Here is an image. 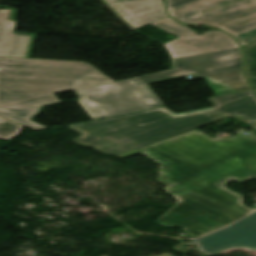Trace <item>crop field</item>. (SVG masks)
Segmentation results:
<instances>
[{"label": "crop field", "mask_w": 256, "mask_h": 256, "mask_svg": "<svg viewBox=\"0 0 256 256\" xmlns=\"http://www.w3.org/2000/svg\"><path fill=\"white\" fill-rule=\"evenodd\" d=\"M142 153L161 164L159 181L177 203L156 224L184 228L200 237L255 211L243 198L211 184L246 168L256 173V138L242 133L213 139L195 129L185 134L117 156Z\"/></svg>", "instance_id": "8a807250"}, {"label": "crop field", "mask_w": 256, "mask_h": 256, "mask_svg": "<svg viewBox=\"0 0 256 256\" xmlns=\"http://www.w3.org/2000/svg\"><path fill=\"white\" fill-rule=\"evenodd\" d=\"M151 24L179 37L165 44L175 69L75 90L79 104L92 120L161 107L148 85L187 75L205 78L216 96L250 89L243 74V52L227 33L198 35L170 17Z\"/></svg>", "instance_id": "ac0d7876"}, {"label": "crop field", "mask_w": 256, "mask_h": 256, "mask_svg": "<svg viewBox=\"0 0 256 256\" xmlns=\"http://www.w3.org/2000/svg\"><path fill=\"white\" fill-rule=\"evenodd\" d=\"M213 108L176 115L162 107L69 126L72 141L117 156L231 116L256 119V94L244 91L210 98Z\"/></svg>", "instance_id": "34b2d1b8"}, {"label": "crop field", "mask_w": 256, "mask_h": 256, "mask_svg": "<svg viewBox=\"0 0 256 256\" xmlns=\"http://www.w3.org/2000/svg\"><path fill=\"white\" fill-rule=\"evenodd\" d=\"M113 82L86 62L0 57V116L33 130L41 107L59 104L58 91Z\"/></svg>", "instance_id": "412701ff"}, {"label": "crop field", "mask_w": 256, "mask_h": 256, "mask_svg": "<svg viewBox=\"0 0 256 256\" xmlns=\"http://www.w3.org/2000/svg\"><path fill=\"white\" fill-rule=\"evenodd\" d=\"M176 20L206 29H220L242 46L256 40V0H167Z\"/></svg>", "instance_id": "f4fd0767"}, {"label": "crop field", "mask_w": 256, "mask_h": 256, "mask_svg": "<svg viewBox=\"0 0 256 256\" xmlns=\"http://www.w3.org/2000/svg\"><path fill=\"white\" fill-rule=\"evenodd\" d=\"M192 244L210 256L240 248L256 250V212Z\"/></svg>", "instance_id": "dd49c442"}, {"label": "crop field", "mask_w": 256, "mask_h": 256, "mask_svg": "<svg viewBox=\"0 0 256 256\" xmlns=\"http://www.w3.org/2000/svg\"><path fill=\"white\" fill-rule=\"evenodd\" d=\"M103 1L132 28L167 16L163 0Z\"/></svg>", "instance_id": "e52e79f7"}, {"label": "crop field", "mask_w": 256, "mask_h": 256, "mask_svg": "<svg viewBox=\"0 0 256 256\" xmlns=\"http://www.w3.org/2000/svg\"><path fill=\"white\" fill-rule=\"evenodd\" d=\"M17 10H0V56L29 58L35 35L14 33Z\"/></svg>", "instance_id": "d8731c3e"}, {"label": "crop field", "mask_w": 256, "mask_h": 256, "mask_svg": "<svg viewBox=\"0 0 256 256\" xmlns=\"http://www.w3.org/2000/svg\"><path fill=\"white\" fill-rule=\"evenodd\" d=\"M244 50L246 52V74L251 85L256 88V42L244 47Z\"/></svg>", "instance_id": "5a996713"}, {"label": "crop field", "mask_w": 256, "mask_h": 256, "mask_svg": "<svg viewBox=\"0 0 256 256\" xmlns=\"http://www.w3.org/2000/svg\"><path fill=\"white\" fill-rule=\"evenodd\" d=\"M23 126L0 117V139L10 140L22 132Z\"/></svg>", "instance_id": "3316defc"}, {"label": "crop field", "mask_w": 256, "mask_h": 256, "mask_svg": "<svg viewBox=\"0 0 256 256\" xmlns=\"http://www.w3.org/2000/svg\"><path fill=\"white\" fill-rule=\"evenodd\" d=\"M252 177H256V174L252 173V172H250V171H248L246 169H243V170H241V171H239V172H237V173H235V174H233V175H231V176H229V177H227V178H225V179H223V180L213 184V186H215V187H217V188H219L221 190H224L226 192H229V193H232L234 195H237V196L241 197V195H238V194H236V193H234L232 191L226 190L223 187V183L226 182V181H230V180H235V181L242 182V181H244V180H246L248 178H252Z\"/></svg>", "instance_id": "28ad6ade"}, {"label": "crop field", "mask_w": 256, "mask_h": 256, "mask_svg": "<svg viewBox=\"0 0 256 256\" xmlns=\"http://www.w3.org/2000/svg\"><path fill=\"white\" fill-rule=\"evenodd\" d=\"M186 246L187 245H185L184 243H180L172 249L177 250L178 252H181V253H188L191 249L187 248Z\"/></svg>", "instance_id": "d1516ede"}, {"label": "crop field", "mask_w": 256, "mask_h": 256, "mask_svg": "<svg viewBox=\"0 0 256 256\" xmlns=\"http://www.w3.org/2000/svg\"><path fill=\"white\" fill-rule=\"evenodd\" d=\"M251 133L256 136V127L254 129H252Z\"/></svg>", "instance_id": "22f410ed"}, {"label": "crop field", "mask_w": 256, "mask_h": 256, "mask_svg": "<svg viewBox=\"0 0 256 256\" xmlns=\"http://www.w3.org/2000/svg\"><path fill=\"white\" fill-rule=\"evenodd\" d=\"M255 126H256V121L255 122H252Z\"/></svg>", "instance_id": "cbeb9de0"}, {"label": "crop field", "mask_w": 256, "mask_h": 256, "mask_svg": "<svg viewBox=\"0 0 256 256\" xmlns=\"http://www.w3.org/2000/svg\"><path fill=\"white\" fill-rule=\"evenodd\" d=\"M164 256H166V255H164Z\"/></svg>", "instance_id": "5142ce71"}]
</instances>
